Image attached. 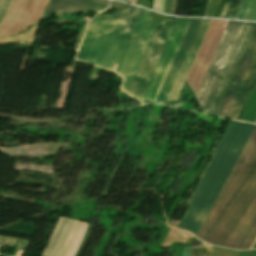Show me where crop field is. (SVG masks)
<instances>
[{
  "label": "crop field",
  "instance_id": "crop-field-13",
  "mask_svg": "<svg viewBox=\"0 0 256 256\" xmlns=\"http://www.w3.org/2000/svg\"><path fill=\"white\" fill-rule=\"evenodd\" d=\"M235 18L256 20V0H243Z\"/></svg>",
  "mask_w": 256,
  "mask_h": 256
},
{
  "label": "crop field",
  "instance_id": "crop-field-17",
  "mask_svg": "<svg viewBox=\"0 0 256 256\" xmlns=\"http://www.w3.org/2000/svg\"><path fill=\"white\" fill-rule=\"evenodd\" d=\"M87 226L88 225L84 223V225H83V227H82V229H81V231H80V233H79V235H78V237L76 239V242H75V244H74V246H73L69 256H74V254H75V252H76V250H77V248H78V246H79V244H80V242H81V240H82V238H83V236L85 234Z\"/></svg>",
  "mask_w": 256,
  "mask_h": 256
},
{
  "label": "crop field",
  "instance_id": "crop-field-19",
  "mask_svg": "<svg viewBox=\"0 0 256 256\" xmlns=\"http://www.w3.org/2000/svg\"><path fill=\"white\" fill-rule=\"evenodd\" d=\"M164 0H153V8L163 12Z\"/></svg>",
  "mask_w": 256,
  "mask_h": 256
},
{
  "label": "crop field",
  "instance_id": "crop-field-14",
  "mask_svg": "<svg viewBox=\"0 0 256 256\" xmlns=\"http://www.w3.org/2000/svg\"><path fill=\"white\" fill-rule=\"evenodd\" d=\"M77 222L78 221H76V220L74 221V223H73V225H72V227H71V229H70V231H69V233H68V235L65 239V242H64V244H63V246H62V248H61V250H60V252L58 253L57 256H68V254H69V252H70V250H71V248L74 244V241H75V239H76V237L79 233V230H80V228L83 224V223L79 222L77 227H76ZM75 227H76V230L73 234V231H74ZM72 234H73V237L71 239ZM70 239H71V241H70ZM69 241H70V243H69ZM68 243H69V245H68ZM67 245H68V247L66 248ZM65 248H66V250H65Z\"/></svg>",
  "mask_w": 256,
  "mask_h": 256
},
{
  "label": "crop field",
  "instance_id": "crop-field-21",
  "mask_svg": "<svg viewBox=\"0 0 256 256\" xmlns=\"http://www.w3.org/2000/svg\"><path fill=\"white\" fill-rule=\"evenodd\" d=\"M190 249H191V248H185L184 251H183L182 256H189Z\"/></svg>",
  "mask_w": 256,
  "mask_h": 256
},
{
  "label": "crop field",
  "instance_id": "crop-field-10",
  "mask_svg": "<svg viewBox=\"0 0 256 256\" xmlns=\"http://www.w3.org/2000/svg\"><path fill=\"white\" fill-rule=\"evenodd\" d=\"M210 21V19L202 20L168 100H177Z\"/></svg>",
  "mask_w": 256,
  "mask_h": 256
},
{
  "label": "crop field",
  "instance_id": "crop-field-18",
  "mask_svg": "<svg viewBox=\"0 0 256 256\" xmlns=\"http://www.w3.org/2000/svg\"><path fill=\"white\" fill-rule=\"evenodd\" d=\"M13 0H0V22L12 4Z\"/></svg>",
  "mask_w": 256,
  "mask_h": 256
},
{
  "label": "crop field",
  "instance_id": "crop-field-2",
  "mask_svg": "<svg viewBox=\"0 0 256 256\" xmlns=\"http://www.w3.org/2000/svg\"><path fill=\"white\" fill-rule=\"evenodd\" d=\"M254 126L230 121L209 164L188 199L191 205L178 228L197 236Z\"/></svg>",
  "mask_w": 256,
  "mask_h": 256
},
{
  "label": "crop field",
  "instance_id": "crop-field-3",
  "mask_svg": "<svg viewBox=\"0 0 256 256\" xmlns=\"http://www.w3.org/2000/svg\"><path fill=\"white\" fill-rule=\"evenodd\" d=\"M254 25L228 22L196 95L205 111L216 114Z\"/></svg>",
  "mask_w": 256,
  "mask_h": 256
},
{
  "label": "crop field",
  "instance_id": "crop-field-22",
  "mask_svg": "<svg viewBox=\"0 0 256 256\" xmlns=\"http://www.w3.org/2000/svg\"><path fill=\"white\" fill-rule=\"evenodd\" d=\"M253 248H256V242H255V244H254Z\"/></svg>",
  "mask_w": 256,
  "mask_h": 256
},
{
  "label": "crop field",
  "instance_id": "crop-field-11",
  "mask_svg": "<svg viewBox=\"0 0 256 256\" xmlns=\"http://www.w3.org/2000/svg\"><path fill=\"white\" fill-rule=\"evenodd\" d=\"M107 0H51L42 17L49 18L52 12H81L86 10H105Z\"/></svg>",
  "mask_w": 256,
  "mask_h": 256
},
{
  "label": "crop field",
  "instance_id": "crop-field-20",
  "mask_svg": "<svg viewBox=\"0 0 256 256\" xmlns=\"http://www.w3.org/2000/svg\"><path fill=\"white\" fill-rule=\"evenodd\" d=\"M177 3H178V0H172V7H171L170 14H175L176 8H177Z\"/></svg>",
  "mask_w": 256,
  "mask_h": 256
},
{
  "label": "crop field",
  "instance_id": "crop-field-1",
  "mask_svg": "<svg viewBox=\"0 0 256 256\" xmlns=\"http://www.w3.org/2000/svg\"><path fill=\"white\" fill-rule=\"evenodd\" d=\"M197 237L217 246L250 249L256 237V127Z\"/></svg>",
  "mask_w": 256,
  "mask_h": 256
},
{
  "label": "crop field",
  "instance_id": "crop-field-15",
  "mask_svg": "<svg viewBox=\"0 0 256 256\" xmlns=\"http://www.w3.org/2000/svg\"><path fill=\"white\" fill-rule=\"evenodd\" d=\"M242 0H227L220 17L234 18Z\"/></svg>",
  "mask_w": 256,
  "mask_h": 256
},
{
  "label": "crop field",
  "instance_id": "crop-field-23",
  "mask_svg": "<svg viewBox=\"0 0 256 256\" xmlns=\"http://www.w3.org/2000/svg\"><path fill=\"white\" fill-rule=\"evenodd\" d=\"M122 1H126V0H122Z\"/></svg>",
  "mask_w": 256,
  "mask_h": 256
},
{
  "label": "crop field",
  "instance_id": "crop-field-16",
  "mask_svg": "<svg viewBox=\"0 0 256 256\" xmlns=\"http://www.w3.org/2000/svg\"><path fill=\"white\" fill-rule=\"evenodd\" d=\"M214 247L203 243L201 249L192 248L190 256H212Z\"/></svg>",
  "mask_w": 256,
  "mask_h": 256
},
{
  "label": "crop field",
  "instance_id": "crop-field-7",
  "mask_svg": "<svg viewBox=\"0 0 256 256\" xmlns=\"http://www.w3.org/2000/svg\"><path fill=\"white\" fill-rule=\"evenodd\" d=\"M175 21L176 20L168 19L165 22H161L155 31L144 59L128 92L138 101H141L143 97Z\"/></svg>",
  "mask_w": 256,
  "mask_h": 256
},
{
  "label": "crop field",
  "instance_id": "crop-field-5",
  "mask_svg": "<svg viewBox=\"0 0 256 256\" xmlns=\"http://www.w3.org/2000/svg\"><path fill=\"white\" fill-rule=\"evenodd\" d=\"M256 76V26L216 115L237 119Z\"/></svg>",
  "mask_w": 256,
  "mask_h": 256
},
{
  "label": "crop field",
  "instance_id": "crop-field-12",
  "mask_svg": "<svg viewBox=\"0 0 256 256\" xmlns=\"http://www.w3.org/2000/svg\"><path fill=\"white\" fill-rule=\"evenodd\" d=\"M73 220L67 218H59L50 240L42 253V256H56L66 234L68 233Z\"/></svg>",
  "mask_w": 256,
  "mask_h": 256
},
{
  "label": "crop field",
  "instance_id": "crop-field-6",
  "mask_svg": "<svg viewBox=\"0 0 256 256\" xmlns=\"http://www.w3.org/2000/svg\"><path fill=\"white\" fill-rule=\"evenodd\" d=\"M157 25L149 12L144 10L116 71L125 78L121 88L126 92L131 86Z\"/></svg>",
  "mask_w": 256,
  "mask_h": 256
},
{
  "label": "crop field",
  "instance_id": "crop-field-8",
  "mask_svg": "<svg viewBox=\"0 0 256 256\" xmlns=\"http://www.w3.org/2000/svg\"><path fill=\"white\" fill-rule=\"evenodd\" d=\"M190 20L191 19L187 18L177 19L163 54L153 74V77L150 81V84L147 88V91L141 102H154Z\"/></svg>",
  "mask_w": 256,
  "mask_h": 256
},
{
  "label": "crop field",
  "instance_id": "crop-field-9",
  "mask_svg": "<svg viewBox=\"0 0 256 256\" xmlns=\"http://www.w3.org/2000/svg\"><path fill=\"white\" fill-rule=\"evenodd\" d=\"M201 20L202 19H192L191 20V22L188 26V29L184 35V38L181 42V45L177 51V54L173 60V63L169 69V72L166 76V79L162 85V88L158 94V97L156 99L157 102L162 103L163 100L167 99Z\"/></svg>",
  "mask_w": 256,
  "mask_h": 256
},
{
  "label": "crop field",
  "instance_id": "crop-field-4",
  "mask_svg": "<svg viewBox=\"0 0 256 256\" xmlns=\"http://www.w3.org/2000/svg\"><path fill=\"white\" fill-rule=\"evenodd\" d=\"M141 10L132 7L117 15L95 16L88 24L77 59L112 69L120 60Z\"/></svg>",
  "mask_w": 256,
  "mask_h": 256
}]
</instances>
